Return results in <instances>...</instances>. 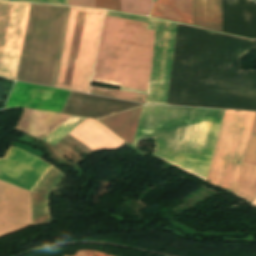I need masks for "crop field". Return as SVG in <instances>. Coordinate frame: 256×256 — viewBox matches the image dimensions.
<instances>
[{"label":"crop field","mask_w":256,"mask_h":256,"mask_svg":"<svg viewBox=\"0 0 256 256\" xmlns=\"http://www.w3.org/2000/svg\"><path fill=\"white\" fill-rule=\"evenodd\" d=\"M69 117L71 116L26 109L16 129L43 140Z\"/></svg>","instance_id":"crop-field-12"},{"label":"crop field","mask_w":256,"mask_h":256,"mask_svg":"<svg viewBox=\"0 0 256 256\" xmlns=\"http://www.w3.org/2000/svg\"><path fill=\"white\" fill-rule=\"evenodd\" d=\"M84 117L72 116L64 124H62L58 129H56L52 134H50L43 141L51 144L52 146L56 144L60 139H62L66 134H68L72 129H74L78 124H80Z\"/></svg>","instance_id":"crop-field-18"},{"label":"crop field","mask_w":256,"mask_h":256,"mask_svg":"<svg viewBox=\"0 0 256 256\" xmlns=\"http://www.w3.org/2000/svg\"><path fill=\"white\" fill-rule=\"evenodd\" d=\"M223 112L145 105L133 145L154 138L153 156L206 180Z\"/></svg>","instance_id":"crop-field-3"},{"label":"crop field","mask_w":256,"mask_h":256,"mask_svg":"<svg viewBox=\"0 0 256 256\" xmlns=\"http://www.w3.org/2000/svg\"><path fill=\"white\" fill-rule=\"evenodd\" d=\"M22 1H32V2H42V3L67 5V0H22Z\"/></svg>","instance_id":"crop-field-23"},{"label":"crop field","mask_w":256,"mask_h":256,"mask_svg":"<svg viewBox=\"0 0 256 256\" xmlns=\"http://www.w3.org/2000/svg\"><path fill=\"white\" fill-rule=\"evenodd\" d=\"M96 7L120 11L119 0H95Z\"/></svg>","instance_id":"crop-field-21"},{"label":"crop field","mask_w":256,"mask_h":256,"mask_svg":"<svg viewBox=\"0 0 256 256\" xmlns=\"http://www.w3.org/2000/svg\"><path fill=\"white\" fill-rule=\"evenodd\" d=\"M91 88L112 92L111 97L113 98H119V99H125V100H131V101H137V102H143V103H145V99H146V95L144 94H138V93H133L128 91L103 88V87H97V86H92Z\"/></svg>","instance_id":"crop-field-20"},{"label":"crop field","mask_w":256,"mask_h":256,"mask_svg":"<svg viewBox=\"0 0 256 256\" xmlns=\"http://www.w3.org/2000/svg\"><path fill=\"white\" fill-rule=\"evenodd\" d=\"M155 3L149 15L192 25V0H157Z\"/></svg>","instance_id":"crop-field-15"},{"label":"crop field","mask_w":256,"mask_h":256,"mask_svg":"<svg viewBox=\"0 0 256 256\" xmlns=\"http://www.w3.org/2000/svg\"><path fill=\"white\" fill-rule=\"evenodd\" d=\"M256 193V118L235 189L236 195L254 201Z\"/></svg>","instance_id":"crop-field-14"},{"label":"crop field","mask_w":256,"mask_h":256,"mask_svg":"<svg viewBox=\"0 0 256 256\" xmlns=\"http://www.w3.org/2000/svg\"><path fill=\"white\" fill-rule=\"evenodd\" d=\"M52 165L9 146L0 158V180L32 191Z\"/></svg>","instance_id":"crop-field-7"},{"label":"crop field","mask_w":256,"mask_h":256,"mask_svg":"<svg viewBox=\"0 0 256 256\" xmlns=\"http://www.w3.org/2000/svg\"><path fill=\"white\" fill-rule=\"evenodd\" d=\"M193 25L222 31L221 0H193Z\"/></svg>","instance_id":"crop-field-16"},{"label":"crop field","mask_w":256,"mask_h":256,"mask_svg":"<svg viewBox=\"0 0 256 256\" xmlns=\"http://www.w3.org/2000/svg\"><path fill=\"white\" fill-rule=\"evenodd\" d=\"M95 256H104L103 253L95 251Z\"/></svg>","instance_id":"crop-field-25"},{"label":"crop field","mask_w":256,"mask_h":256,"mask_svg":"<svg viewBox=\"0 0 256 256\" xmlns=\"http://www.w3.org/2000/svg\"><path fill=\"white\" fill-rule=\"evenodd\" d=\"M255 114L224 112L207 182L234 193Z\"/></svg>","instance_id":"crop-field-5"},{"label":"crop field","mask_w":256,"mask_h":256,"mask_svg":"<svg viewBox=\"0 0 256 256\" xmlns=\"http://www.w3.org/2000/svg\"><path fill=\"white\" fill-rule=\"evenodd\" d=\"M69 134L92 150L113 147L124 142L95 119L87 118Z\"/></svg>","instance_id":"crop-field-13"},{"label":"crop field","mask_w":256,"mask_h":256,"mask_svg":"<svg viewBox=\"0 0 256 256\" xmlns=\"http://www.w3.org/2000/svg\"><path fill=\"white\" fill-rule=\"evenodd\" d=\"M256 204V203H255Z\"/></svg>","instance_id":"crop-field-27"},{"label":"crop field","mask_w":256,"mask_h":256,"mask_svg":"<svg viewBox=\"0 0 256 256\" xmlns=\"http://www.w3.org/2000/svg\"><path fill=\"white\" fill-rule=\"evenodd\" d=\"M146 26L105 16L92 81L146 91L154 39Z\"/></svg>","instance_id":"crop-field-4"},{"label":"crop field","mask_w":256,"mask_h":256,"mask_svg":"<svg viewBox=\"0 0 256 256\" xmlns=\"http://www.w3.org/2000/svg\"><path fill=\"white\" fill-rule=\"evenodd\" d=\"M105 15L148 22L147 29L155 30L154 53L146 103L166 104L177 24L150 17L106 11Z\"/></svg>","instance_id":"crop-field-6"},{"label":"crop field","mask_w":256,"mask_h":256,"mask_svg":"<svg viewBox=\"0 0 256 256\" xmlns=\"http://www.w3.org/2000/svg\"><path fill=\"white\" fill-rule=\"evenodd\" d=\"M69 92L16 82L4 109L28 107L60 113Z\"/></svg>","instance_id":"crop-field-9"},{"label":"crop field","mask_w":256,"mask_h":256,"mask_svg":"<svg viewBox=\"0 0 256 256\" xmlns=\"http://www.w3.org/2000/svg\"><path fill=\"white\" fill-rule=\"evenodd\" d=\"M66 175L54 166L31 192L33 225L50 224L48 197Z\"/></svg>","instance_id":"crop-field-11"},{"label":"crop field","mask_w":256,"mask_h":256,"mask_svg":"<svg viewBox=\"0 0 256 256\" xmlns=\"http://www.w3.org/2000/svg\"><path fill=\"white\" fill-rule=\"evenodd\" d=\"M223 31L256 38V3L252 0H222Z\"/></svg>","instance_id":"crop-field-10"},{"label":"crop field","mask_w":256,"mask_h":256,"mask_svg":"<svg viewBox=\"0 0 256 256\" xmlns=\"http://www.w3.org/2000/svg\"><path fill=\"white\" fill-rule=\"evenodd\" d=\"M141 107L102 118L98 121L117 133L126 141L133 143Z\"/></svg>","instance_id":"crop-field-17"},{"label":"crop field","mask_w":256,"mask_h":256,"mask_svg":"<svg viewBox=\"0 0 256 256\" xmlns=\"http://www.w3.org/2000/svg\"><path fill=\"white\" fill-rule=\"evenodd\" d=\"M75 256H93V251H79Z\"/></svg>","instance_id":"crop-field-24"},{"label":"crop field","mask_w":256,"mask_h":256,"mask_svg":"<svg viewBox=\"0 0 256 256\" xmlns=\"http://www.w3.org/2000/svg\"><path fill=\"white\" fill-rule=\"evenodd\" d=\"M152 0H120L121 11L148 15Z\"/></svg>","instance_id":"crop-field-19"},{"label":"crop field","mask_w":256,"mask_h":256,"mask_svg":"<svg viewBox=\"0 0 256 256\" xmlns=\"http://www.w3.org/2000/svg\"><path fill=\"white\" fill-rule=\"evenodd\" d=\"M68 5L95 7L94 0H68Z\"/></svg>","instance_id":"crop-field-22"},{"label":"crop field","mask_w":256,"mask_h":256,"mask_svg":"<svg viewBox=\"0 0 256 256\" xmlns=\"http://www.w3.org/2000/svg\"><path fill=\"white\" fill-rule=\"evenodd\" d=\"M249 41L178 24L167 104L256 111V70L241 72Z\"/></svg>","instance_id":"crop-field-1"},{"label":"crop field","mask_w":256,"mask_h":256,"mask_svg":"<svg viewBox=\"0 0 256 256\" xmlns=\"http://www.w3.org/2000/svg\"><path fill=\"white\" fill-rule=\"evenodd\" d=\"M30 6L0 1V75L13 80ZM103 13L71 7L56 87L88 93Z\"/></svg>","instance_id":"crop-field-2"},{"label":"crop field","mask_w":256,"mask_h":256,"mask_svg":"<svg viewBox=\"0 0 256 256\" xmlns=\"http://www.w3.org/2000/svg\"><path fill=\"white\" fill-rule=\"evenodd\" d=\"M105 256H109V255H106V254H105Z\"/></svg>","instance_id":"crop-field-26"},{"label":"crop field","mask_w":256,"mask_h":256,"mask_svg":"<svg viewBox=\"0 0 256 256\" xmlns=\"http://www.w3.org/2000/svg\"><path fill=\"white\" fill-rule=\"evenodd\" d=\"M31 223L30 192L0 181V235ZM27 225L4 234L15 233Z\"/></svg>","instance_id":"crop-field-8"}]
</instances>
